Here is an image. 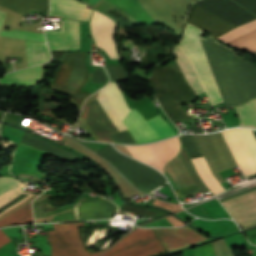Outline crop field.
<instances>
[{"label": "crop field", "instance_id": "obj_1", "mask_svg": "<svg viewBox=\"0 0 256 256\" xmlns=\"http://www.w3.org/2000/svg\"><path fill=\"white\" fill-rule=\"evenodd\" d=\"M207 60L226 106H238L256 98V65L240 58L232 48L219 44L211 35L199 37ZM241 119L239 126L256 129V99L235 107Z\"/></svg>", "mask_w": 256, "mask_h": 256}, {"label": "crop field", "instance_id": "obj_2", "mask_svg": "<svg viewBox=\"0 0 256 256\" xmlns=\"http://www.w3.org/2000/svg\"><path fill=\"white\" fill-rule=\"evenodd\" d=\"M202 34L203 33L201 30L186 24L183 41L177 46L191 62L209 97L210 102L212 105H214L222 102L223 100L198 38V36ZM177 46L174 47L173 54L176 56V61L184 73L189 85L192 87L196 94L205 92L190 62Z\"/></svg>", "mask_w": 256, "mask_h": 256}, {"label": "crop field", "instance_id": "obj_3", "mask_svg": "<svg viewBox=\"0 0 256 256\" xmlns=\"http://www.w3.org/2000/svg\"><path fill=\"white\" fill-rule=\"evenodd\" d=\"M149 85L171 121L193 118L179 107L197 98L182 73L175 71L172 66L163 68L156 65Z\"/></svg>", "mask_w": 256, "mask_h": 256}, {"label": "crop field", "instance_id": "obj_4", "mask_svg": "<svg viewBox=\"0 0 256 256\" xmlns=\"http://www.w3.org/2000/svg\"><path fill=\"white\" fill-rule=\"evenodd\" d=\"M61 62L62 64L54 80V86L57 90L71 95L82 104L83 100L90 95L79 91L88 76L85 52L68 54Z\"/></svg>", "mask_w": 256, "mask_h": 256}, {"label": "crop field", "instance_id": "obj_5", "mask_svg": "<svg viewBox=\"0 0 256 256\" xmlns=\"http://www.w3.org/2000/svg\"><path fill=\"white\" fill-rule=\"evenodd\" d=\"M165 251L153 229H135L102 256H149Z\"/></svg>", "mask_w": 256, "mask_h": 256}, {"label": "crop field", "instance_id": "obj_6", "mask_svg": "<svg viewBox=\"0 0 256 256\" xmlns=\"http://www.w3.org/2000/svg\"><path fill=\"white\" fill-rule=\"evenodd\" d=\"M253 133L256 137V132ZM253 133L241 128L222 131L235 161L245 176L253 173L256 175V139Z\"/></svg>", "mask_w": 256, "mask_h": 256}, {"label": "crop field", "instance_id": "obj_7", "mask_svg": "<svg viewBox=\"0 0 256 256\" xmlns=\"http://www.w3.org/2000/svg\"><path fill=\"white\" fill-rule=\"evenodd\" d=\"M76 225L84 223L53 224L55 231H48V241L52 244L51 256H98L84 250Z\"/></svg>", "mask_w": 256, "mask_h": 256}, {"label": "crop field", "instance_id": "obj_8", "mask_svg": "<svg viewBox=\"0 0 256 256\" xmlns=\"http://www.w3.org/2000/svg\"><path fill=\"white\" fill-rule=\"evenodd\" d=\"M136 142H145L175 135L160 115L146 121L135 109L123 121Z\"/></svg>", "mask_w": 256, "mask_h": 256}, {"label": "crop field", "instance_id": "obj_9", "mask_svg": "<svg viewBox=\"0 0 256 256\" xmlns=\"http://www.w3.org/2000/svg\"><path fill=\"white\" fill-rule=\"evenodd\" d=\"M125 147L133 157L159 169L164 174V165L177 155L180 143L175 137L151 145Z\"/></svg>", "mask_w": 256, "mask_h": 256}, {"label": "crop field", "instance_id": "obj_10", "mask_svg": "<svg viewBox=\"0 0 256 256\" xmlns=\"http://www.w3.org/2000/svg\"><path fill=\"white\" fill-rule=\"evenodd\" d=\"M97 101L119 131L127 129L122 120L131 110L127 106L116 82H110L100 89Z\"/></svg>", "mask_w": 256, "mask_h": 256}, {"label": "crop field", "instance_id": "obj_11", "mask_svg": "<svg viewBox=\"0 0 256 256\" xmlns=\"http://www.w3.org/2000/svg\"><path fill=\"white\" fill-rule=\"evenodd\" d=\"M115 22L94 11L90 20L91 34L97 47L105 50L110 58H119L113 39Z\"/></svg>", "mask_w": 256, "mask_h": 256}, {"label": "crop field", "instance_id": "obj_12", "mask_svg": "<svg viewBox=\"0 0 256 256\" xmlns=\"http://www.w3.org/2000/svg\"><path fill=\"white\" fill-rule=\"evenodd\" d=\"M196 5L237 26L256 19L231 0H200Z\"/></svg>", "mask_w": 256, "mask_h": 256}, {"label": "crop field", "instance_id": "obj_13", "mask_svg": "<svg viewBox=\"0 0 256 256\" xmlns=\"http://www.w3.org/2000/svg\"><path fill=\"white\" fill-rule=\"evenodd\" d=\"M186 22L208 32L213 37H217L237 26L195 6L191 7Z\"/></svg>", "mask_w": 256, "mask_h": 256}, {"label": "crop field", "instance_id": "obj_14", "mask_svg": "<svg viewBox=\"0 0 256 256\" xmlns=\"http://www.w3.org/2000/svg\"><path fill=\"white\" fill-rule=\"evenodd\" d=\"M239 226L256 222V191L222 202Z\"/></svg>", "mask_w": 256, "mask_h": 256}, {"label": "crop field", "instance_id": "obj_15", "mask_svg": "<svg viewBox=\"0 0 256 256\" xmlns=\"http://www.w3.org/2000/svg\"><path fill=\"white\" fill-rule=\"evenodd\" d=\"M155 231L163 242L167 251L185 247L208 239L187 226L183 228H159L155 229Z\"/></svg>", "mask_w": 256, "mask_h": 256}, {"label": "crop field", "instance_id": "obj_16", "mask_svg": "<svg viewBox=\"0 0 256 256\" xmlns=\"http://www.w3.org/2000/svg\"><path fill=\"white\" fill-rule=\"evenodd\" d=\"M78 220L110 218L117 207L100 197L84 196L78 200L76 206Z\"/></svg>", "mask_w": 256, "mask_h": 256}, {"label": "crop field", "instance_id": "obj_17", "mask_svg": "<svg viewBox=\"0 0 256 256\" xmlns=\"http://www.w3.org/2000/svg\"><path fill=\"white\" fill-rule=\"evenodd\" d=\"M62 23L63 31H45L50 48L80 49L79 21L63 19Z\"/></svg>", "mask_w": 256, "mask_h": 256}, {"label": "crop field", "instance_id": "obj_18", "mask_svg": "<svg viewBox=\"0 0 256 256\" xmlns=\"http://www.w3.org/2000/svg\"><path fill=\"white\" fill-rule=\"evenodd\" d=\"M218 39L251 54L256 51V20L241 25Z\"/></svg>", "mask_w": 256, "mask_h": 256}, {"label": "crop field", "instance_id": "obj_19", "mask_svg": "<svg viewBox=\"0 0 256 256\" xmlns=\"http://www.w3.org/2000/svg\"><path fill=\"white\" fill-rule=\"evenodd\" d=\"M85 6L75 0H51L50 15L88 20L92 11L84 8Z\"/></svg>", "mask_w": 256, "mask_h": 256}, {"label": "crop field", "instance_id": "obj_20", "mask_svg": "<svg viewBox=\"0 0 256 256\" xmlns=\"http://www.w3.org/2000/svg\"><path fill=\"white\" fill-rule=\"evenodd\" d=\"M41 77V66H35L24 70L4 75L0 82L26 85L39 81Z\"/></svg>", "mask_w": 256, "mask_h": 256}, {"label": "crop field", "instance_id": "obj_21", "mask_svg": "<svg viewBox=\"0 0 256 256\" xmlns=\"http://www.w3.org/2000/svg\"><path fill=\"white\" fill-rule=\"evenodd\" d=\"M0 6L26 15L29 9L48 13V0H0Z\"/></svg>", "mask_w": 256, "mask_h": 256}, {"label": "crop field", "instance_id": "obj_22", "mask_svg": "<svg viewBox=\"0 0 256 256\" xmlns=\"http://www.w3.org/2000/svg\"><path fill=\"white\" fill-rule=\"evenodd\" d=\"M199 176L213 194L225 190L222 185L212 175L204 157L191 159Z\"/></svg>", "mask_w": 256, "mask_h": 256}, {"label": "crop field", "instance_id": "obj_23", "mask_svg": "<svg viewBox=\"0 0 256 256\" xmlns=\"http://www.w3.org/2000/svg\"><path fill=\"white\" fill-rule=\"evenodd\" d=\"M28 67L49 61L51 56L46 43L26 41Z\"/></svg>", "mask_w": 256, "mask_h": 256}, {"label": "crop field", "instance_id": "obj_24", "mask_svg": "<svg viewBox=\"0 0 256 256\" xmlns=\"http://www.w3.org/2000/svg\"><path fill=\"white\" fill-rule=\"evenodd\" d=\"M32 220V212H31V203L26 206L20 208L4 219L0 220V227L6 226L9 224H20V223H31Z\"/></svg>", "mask_w": 256, "mask_h": 256}, {"label": "crop field", "instance_id": "obj_25", "mask_svg": "<svg viewBox=\"0 0 256 256\" xmlns=\"http://www.w3.org/2000/svg\"><path fill=\"white\" fill-rule=\"evenodd\" d=\"M0 35L20 38V39H28L32 41L46 42L44 34H39V33H31V32H24V31H18V30H11V31L2 30Z\"/></svg>", "mask_w": 256, "mask_h": 256}, {"label": "crop field", "instance_id": "obj_26", "mask_svg": "<svg viewBox=\"0 0 256 256\" xmlns=\"http://www.w3.org/2000/svg\"><path fill=\"white\" fill-rule=\"evenodd\" d=\"M182 145L186 148L190 158L203 156L193 135L180 136Z\"/></svg>", "mask_w": 256, "mask_h": 256}, {"label": "crop field", "instance_id": "obj_27", "mask_svg": "<svg viewBox=\"0 0 256 256\" xmlns=\"http://www.w3.org/2000/svg\"><path fill=\"white\" fill-rule=\"evenodd\" d=\"M112 81L129 78L126 70L119 64L105 66Z\"/></svg>", "mask_w": 256, "mask_h": 256}, {"label": "crop field", "instance_id": "obj_28", "mask_svg": "<svg viewBox=\"0 0 256 256\" xmlns=\"http://www.w3.org/2000/svg\"><path fill=\"white\" fill-rule=\"evenodd\" d=\"M234 1L256 15V0H234Z\"/></svg>", "mask_w": 256, "mask_h": 256}, {"label": "crop field", "instance_id": "obj_29", "mask_svg": "<svg viewBox=\"0 0 256 256\" xmlns=\"http://www.w3.org/2000/svg\"><path fill=\"white\" fill-rule=\"evenodd\" d=\"M92 81L106 84L107 77L103 68H95V73L93 75Z\"/></svg>", "mask_w": 256, "mask_h": 256}, {"label": "crop field", "instance_id": "obj_30", "mask_svg": "<svg viewBox=\"0 0 256 256\" xmlns=\"http://www.w3.org/2000/svg\"><path fill=\"white\" fill-rule=\"evenodd\" d=\"M198 191L199 190H198L197 186H193V187H189V188L176 190L175 193H176L177 197H179V196L187 195V194L198 192Z\"/></svg>", "mask_w": 256, "mask_h": 256}, {"label": "crop field", "instance_id": "obj_31", "mask_svg": "<svg viewBox=\"0 0 256 256\" xmlns=\"http://www.w3.org/2000/svg\"><path fill=\"white\" fill-rule=\"evenodd\" d=\"M17 181L11 179V178H0V192L9 186L13 185Z\"/></svg>", "mask_w": 256, "mask_h": 256}, {"label": "crop field", "instance_id": "obj_32", "mask_svg": "<svg viewBox=\"0 0 256 256\" xmlns=\"http://www.w3.org/2000/svg\"><path fill=\"white\" fill-rule=\"evenodd\" d=\"M11 241L6 234L0 229V247Z\"/></svg>", "mask_w": 256, "mask_h": 256}, {"label": "crop field", "instance_id": "obj_33", "mask_svg": "<svg viewBox=\"0 0 256 256\" xmlns=\"http://www.w3.org/2000/svg\"><path fill=\"white\" fill-rule=\"evenodd\" d=\"M5 14H6L5 12H1V11H0V27H1L2 23H3ZM1 28H2V27H1Z\"/></svg>", "mask_w": 256, "mask_h": 256}, {"label": "crop field", "instance_id": "obj_34", "mask_svg": "<svg viewBox=\"0 0 256 256\" xmlns=\"http://www.w3.org/2000/svg\"><path fill=\"white\" fill-rule=\"evenodd\" d=\"M254 55L256 56V53H254Z\"/></svg>", "mask_w": 256, "mask_h": 256}]
</instances>
